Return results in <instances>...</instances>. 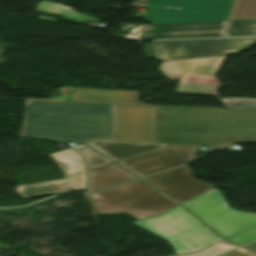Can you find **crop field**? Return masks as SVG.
Wrapping results in <instances>:
<instances>
[{
	"label": "crop field",
	"instance_id": "obj_1",
	"mask_svg": "<svg viewBox=\"0 0 256 256\" xmlns=\"http://www.w3.org/2000/svg\"><path fill=\"white\" fill-rule=\"evenodd\" d=\"M256 142V110L154 106L153 142L222 147Z\"/></svg>",
	"mask_w": 256,
	"mask_h": 256
},
{
	"label": "crop field",
	"instance_id": "obj_2",
	"mask_svg": "<svg viewBox=\"0 0 256 256\" xmlns=\"http://www.w3.org/2000/svg\"><path fill=\"white\" fill-rule=\"evenodd\" d=\"M116 104L25 100L20 136L75 142L116 140Z\"/></svg>",
	"mask_w": 256,
	"mask_h": 256
},
{
	"label": "crop field",
	"instance_id": "obj_3",
	"mask_svg": "<svg viewBox=\"0 0 256 256\" xmlns=\"http://www.w3.org/2000/svg\"><path fill=\"white\" fill-rule=\"evenodd\" d=\"M133 223L171 243L177 254L195 252L223 240L180 205Z\"/></svg>",
	"mask_w": 256,
	"mask_h": 256
},
{
	"label": "crop field",
	"instance_id": "obj_4",
	"mask_svg": "<svg viewBox=\"0 0 256 256\" xmlns=\"http://www.w3.org/2000/svg\"><path fill=\"white\" fill-rule=\"evenodd\" d=\"M89 196L98 215L145 210L156 216L178 205L140 179Z\"/></svg>",
	"mask_w": 256,
	"mask_h": 256
},
{
	"label": "crop field",
	"instance_id": "obj_5",
	"mask_svg": "<svg viewBox=\"0 0 256 256\" xmlns=\"http://www.w3.org/2000/svg\"><path fill=\"white\" fill-rule=\"evenodd\" d=\"M143 48L149 60L168 61L202 56L235 54L256 45V37L151 41Z\"/></svg>",
	"mask_w": 256,
	"mask_h": 256
},
{
	"label": "crop field",
	"instance_id": "obj_6",
	"mask_svg": "<svg viewBox=\"0 0 256 256\" xmlns=\"http://www.w3.org/2000/svg\"><path fill=\"white\" fill-rule=\"evenodd\" d=\"M183 205L225 239L256 226V214L231 210L215 188Z\"/></svg>",
	"mask_w": 256,
	"mask_h": 256
},
{
	"label": "crop field",
	"instance_id": "obj_7",
	"mask_svg": "<svg viewBox=\"0 0 256 256\" xmlns=\"http://www.w3.org/2000/svg\"><path fill=\"white\" fill-rule=\"evenodd\" d=\"M233 0H147L149 7L175 6L176 9L149 8L144 22L152 24L227 20Z\"/></svg>",
	"mask_w": 256,
	"mask_h": 256
},
{
	"label": "crop field",
	"instance_id": "obj_8",
	"mask_svg": "<svg viewBox=\"0 0 256 256\" xmlns=\"http://www.w3.org/2000/svg\"><path fill=\"white\" fill-rule=\"evenodd\" d=\"M49 156L62 169L66 179L17 186L19 195L29 198L84 190L87 168L80 155L68 149Z\"/></svg>",
	"mask_w": 256,
	"mask_h": 256
},
{
	"label": "crop field",
	"instance_id": "obj_9",
	"mask_svg": "<svg viewBox=\"0 0 256 256\" xmlns=\"http://www.w3.org/2000/svg\"><path fill=\"white\" fill-rule=\"evenodd\" d=\"M227 21H208L174 23L161 25H137L130 34H125L129 39H163V38H207L223 37Z\"/></svg>",
	"mask_w": 256,
	"mask_h": 256
},
{
	"label": "crop field",
	"instance_id": "obj_10",
	"mask_svg": "<svg viewBox=\"0 0 256 256\" xmlns=\"http://www.w3.org/2000/svg\"><path fill=\"white\" fill-rule=\"evenodd\" d=\"M195 148L196 146L174 145L117 163L140 177L192 161Z\"/></svg>",
	"mask_w": 256,
	"mask_h": 256
},
{
	"label": "crop field",
	"instance_id": "obj_11",
	"mask_svg": "<svg viewBox=\"0 0 256 256\" xmlns=\"http://www.w3.org/2000/svg\"><path fill=\"white\" fill-rule=\"evenodd\" d=\"M143 179L180 203L214 187L195 180L187 165Z\"/></svg>",
	"mask_w": 256,
	"mask_h": 256
},
{
	"label": "crop field",
	"instance_id": "obj_12",
	"mask_svg": "<svg viewBox=\"0 0 256 256\" xmlns=\"http://www.w3.org/2000/svg\"><path fill=\"white\" fill-rule=\"evenodd\" d=\"M117 140L152 142L153 106L117 104Z\"/></svg>",
	"mask_w": 256,
	"mask_h": 256
},
{
	"label": "crop field",
	"instance_id": "obj_13",
	"mask_svg": "<svg viewBox=\"0 0 256 256\" xmlns=\"http://www.w3.org/2000/svg\"><path fill=\"white\" fill-rule=\"evenodd\" d=\"M227 55L168 61L159 69L169 80L185 81L189 74L213 77Z\"/></svg>",
	"mask_w": 256,
	"mask_h": 256
},
{
	"label": "crop field",
	"instance_id": "obj_14",
	"mask_svg": "<svg viewBox=\"0 0 256 256\" xmlns=\"http://www.w3.org/2000/svg\"><path fill=\"white\" fill-rule=\"evenodd\" d=\"M86 144L90 145L114 161L169 146L168 144L158 143L108 140H96Z\"/></svg>",
	"mask_w": 256,
	"mask_h": 256
},
{
	"label": "crop field",
	"instance_id": "obj_15",
	"mask_svg": "<svg viewBox=\"0 0 256 256\" xmlns=\"http://www.w3.org/2000/svg\"><path fill=\"white\" fill-rule=\"evenodd\" d=\"M135 178L137 177L114 163L91 169L87 192L101 190Z\"/></svg>",
	"mask_w": 256,
	"mask_h": 256
},
{
	"label": "crop field",
	"instance_id": "obj_16",
	"mask_svg": "<svg viewBox=\"0 0 256 256\" xmlns=\"http://www.w3.org/2000/svg\"><path fill=\"white\" fill-rule=\"evenodd\" d=\"M73 100L139 103L138 92L76 88Z\"/></svg>",
	"mask_w": 256,
	"mask_h": 256
},
{
	"label": "crop field",
	"instance_id": "obj_17",
	"mask_svg": "<svg viewBox=\"0 0 256 256\" xmlns=\"http://www.w3.org/2000/svg\"><path fill=\"white\" fill-rule=\"evenodd\" d=\"M36 11L57 14L56 16L76 19L75 21L82 23H84L86 20L99 21V19L76 13L66 6L48 1H43L39 3L37 5Z\"/></svg>",
	"mask_w": 256,
	"mask_h": 256
},
{
	"label": "crop field",
	"instance_id": "obj_18",
	"mask_svg": "<svg viewBox=\"0 0 256 256\" xmlns=\"http://www.w3.org/2000/svg\"><path fill=\"white\" fill-rule=\"evenodd\" d=\"M256 35V19L228 21L224 37Z\"/></svg>",
	"mask_w": 256,
	"mask_h": 256
},
{
	"label": "crop field",
	"instance_id": "obj_19",
	"mask_svg": "<svg viewBox=\"0 0 256 256\" xmlns=\"http://www.w3.org/2000/svg\"><path fill=\"white\" fill-rule=\"evenodd\" d=\"M219 86L179 81L175 93L216 96Z\"/></svg>",
	"mask_w": 256,
	"mask_h": 256
},
{
	"label": "crop field",
	"instance_id": "obj_20",
	"mask_svg": "<svg viewBox=\"0 0 256 256\" xmlns=\"http://www.w3.org/2000/svg\"><path fill=\"white\" fill-rule=\"evenodd\" d=\"M256 18V0H234L228 19Z\"/></svg>",
	"mask_w": 256,
	"mask_h": 256
},
{
	"label": "crop field",
	"instance_id": "obj_21",
	"mask_svg": "<svg viewBox=\"0 0 256 256\" xmlns=\"http://www.w3.org/2000/svg\"><path fill=\"white\" fill-rule=\"evenodd\" d=\"M73 148L84 156L90 169L111 162L110 160L97 153L85 144Z\"/></svg>",
	"mask_w": 256,
	"mask_h": 256
},
{
	"label": "crop field",
	"instance_id": "obj_22",
	"mask_svg": "<svg viewBox=\"0 0 256 256\" xmlns=\"http://www.w3.org/2000/svg\"><path fill=\"white\" fill-rule=\"evenodd\" d=\"M239 246L234 245L226 240L221 241L217 244H214L208 248H205L201 251H198L196 253H190V254H182L178 256H219L227 251H230L232 249H235Z\"/></svg>",
	"mask_w": 256,
	"mask_h": 256
},
{
	"label": "crop field",
	"instance_id": "obj_23",
	"mask_svg": "<svg viewBox=\"0 0 256 256\" xmlns=\"http://www.w3.org/2000/svg\"><path fill=\"white\" fill-rule=\"evenodd\" d=\"M227 108L256 109V100L248 99H225L220 100Z\"/></svg>",
	"mask_w": 256,
	"mask_h": 256
},
{
	"label": "crop field",
	"instance_id": "obj_24",
	"mask_svg": "<svg viewBox=\"0 0 256 256\" xmlns=\"http://www.w3.org/2000/svg\"><path fill=\"white\" fill-rule=\"evenodd\" d=\"M233 243H236L240 246L247 244L253 240H256V227H253L245 232H242L236 236H233L227 239Z\"/></svg>",
	"mask_w": 256,
	"mask_h": 256
},
{
	"label": "crop field",
	"instance_id": "obj_25",
	"mask_svg": "<svg viewBox=\"0 0 256 256\" xmlns=\"http://www.w3.org/2000/svg\"><path fill=\"white\" fill-rule=\"evenodd\" d=\"M224 256H256V254L242 248L232 253L226 254Z\"/></svg>",
	"mask_w": 256,
	"mask_h": 256
},
{
	"label": "crop field",
	"instance_id": "obj_26",
	"mask_svg": "<svg viewBox=\"0 0 256 256\" xmlns=\"http://www.w3.org/2000/svg\"><path fill=\"white\" fill-rule=\"evenodd\" d=\"M129 214H131L132 216H134L137 220L154 217V216L151 215L149 212H144V211H140V212H130Z\"/></svg>",
	"mask_w": 256,
	"mask_h": 256
},
{
	"label": "crop field",
	"instance_id": "obj_27",
	"mask_svg": "<svg viewBox=\"0 0 256 256\" xmlns=\"http://www.w3.org/2000/svg\"><path fill=\"white\" fill-rule=\"evenodd\" d=\"M245 247H247V248H249V249H251V250L256 251V242H254V243H252V244H249V245H247V246H245Z\"/></svg>",
	"mask_w": 256,
	"mask_h": 256
},
{
	"label": "crop field",
	"instance_id": "obj_28",
	"mask_svg": "<svg viewBox=\"0 0 256 256\" xmlns=\"http://www.w3.org/2000/svg\"><path fill=\"white\" fill-rule=\"evenodd\" d=\"M5 247H6V246L0 244V250L3 249V248H5Z\"/></svg>",
	"mask_w": 256,
	"mask_h": 256
},
{
	"label": "crop field",
	"instance_id": "obj_29",
	"mask_svg": "<svg viewBox=\"0 0 256 256\" xmlns=\"http://www.w3.org/2000/svg\"><path fill=\"white\" fill-rule=\"evenodd\" d=\"M174 256H176V255H174Z\"/></svg>",
	"mask_w": 256,
	"mask_h": 256
}]
</instances>
